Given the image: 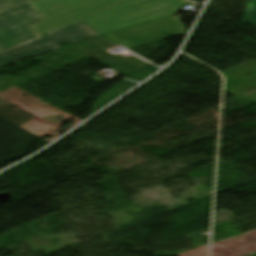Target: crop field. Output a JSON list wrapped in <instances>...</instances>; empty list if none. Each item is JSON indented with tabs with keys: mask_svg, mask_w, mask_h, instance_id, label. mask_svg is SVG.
Instances as JSON below:
<instances>
[{
	"mask_svg": "<svg viewBox=\"0 0 256 256\" xmlns=\"http://www.w3.org/2000/svg\"><path fill=\"white\" fill-rule=\"evenodd\" d=\"M187 3L186 0H130L89 17L85 21L102 34L170 16Z\"/></svg>",
	"mask_w": 256,
	"mask_h": 256,
	"instance_id": "obj_1",
	"label": "crop field"
},
{
	"mask_svg": "<svg viewBox=\"0 0 256 256\" xmlns=\"http://www.w3.org/2000/svg\"><path fill=\"white\" fill-rule=\"evenodd\" d=\"M128 0H34L30 4L44 20L32 25L38 37Z\"/></svg>",
	"mask_w": 256,
	"mask_h": 256,
	"instance_id": "obj_2",
	"label": "crop field"
},
{
	"mask_svg": "<svg viewBox=\"0 0 256 256\" xmlns=\"http://www.w3.org/2000/svg\"><path fill=\"white\" fill-rule=\"evenodd\" d=\"M99 35L84 20L60 29L47 36H43L22 44L18 47L0 53V67L5 66L19 58L31 57L58 49L62 43H74Z\"/></svg>",
	"mask_w": 256,
	"mask_h": 256,
	"instance_id": "obj_3",
	"label": "crop field"
},
{
	"mask_svg": "<svg viewBox=\"0 0 256 256\" xmlns=\"http://www.w3.org/2000/svg\"><path fill=\"white\" fill-rule=\"evenodd\" d=\"M186 33L187 31L184 25L175 14L169 18L113 31L105 34V36L112 41L129 48Z\"/></svg>",
	"mask_w": 256,
	"mask_h": 256,
	"instance_id": "obj_4",
	"label": "crop field"
},
{
	"mask_svg": "<svg viewBox=\"0 0 256 256\" xmlns=\"http://www.w3.org/2000/svg\"><path fill=\"white\" fill-rule=\"evenodd\" d=\"M41 19L29 3L0 14V51L37 38L30 25Z\"/></svg>",
	"mask_w": 256,
	"mask_h": 256,
	"instance_id": "obj_5",
	"label": "crop field"
},
{
	"mask_svg": "<svg viewBox=\"0 0 256 256\" xmlns=\"http://www.w3.org/2000/svg\"><path fill=\"white\" fill-rule=\"evenodd\" d=\"M244 21L256 26V0L248 2Z\"/></svg>",
	"mask_w": 256,
	"mask_h": 256,
	"instance_id": "obj_6",
	"label": "crop field"
},
{
	"mask_svg": "<svg viewBox=\"0 0 256 256\" xmlns=\"http://www.w3.org/2000/svg\"><path fill=\"white\" fill-rule=\"evenodd\" d=\"M32 0H0V13L30 2Z\"/></svg>",
	"mask_w": 256,
	"mask_h": 256,
	"instance_id": "obj_7",
	"label": "crop field"
}]
</instances>
